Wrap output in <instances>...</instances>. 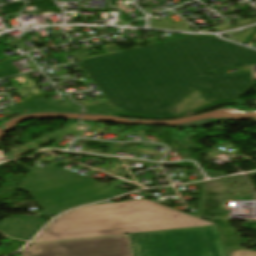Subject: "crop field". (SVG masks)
I'll return each mask as SVG.
<instances>
[{"mask_svg": "<svg viewBox=\"0 0 256 256\" xmlns=\"http://www.w3.org/2000/svg\"><path fill=\"white\" fill-rule=\"evenodd\" d=\"M119 116L174 119L219 103L236 104L254 86L256 51L194 36L80 60Z\"/></svg>", "mask_w": 256, "mask_h": 256, "instance_id": "obj_1", "label": "crop field"}, {"mask_svg": "<svg viewBox=\"0 0 256 256\" xmlns=\"http://www.w3.org/2000/svg\"><path fill=\"white\" fill-rule=\"evenodd\" d=\"M133 256H227L217 227L129 235Z\"/></svg>", "mask_w": 256, "mask_h": 256, "instance_id": "obj_4", "label": "crop field"}, {"mask_svg": "<svg viewBox=\"0 0 256 256\" xmlns=\"http://www.w3.org/2000/svg\"><path fill=\"white\" fill-rule=\"evenodd\" d=\"M46 222L28 216L11 215L0 222V231L5 235L28 241Z\"/></svg>", "mask_w": 256, "mask_h": 256, "instance_id": "obj_6", "label": "crop field"}, {"mask_svg": "<svg viewBox=\"0 0 256 256\" xmlns=\"http://www.w3.org/2000/svg\"><path fill=\"white\" fill-rule=\"evenodd\" d=\"M20 189L31 194L52 216L84 203L125 193L57 167L44 173L31 168Z\"/></svg>", "mask_w": 256, "mask_h": 256, "instance_id": "obj_3", "label": "crop field"}, {"mask_svg": "<svg viewBox=\"0 0 256 256\" xmlns=\"http://www.w3.org/2000/svg\"><path fill=\"white\" fill-rule=\"evenodd\" d=\"M23 244H25V242H22V241H18V240H15L13 239L9 245H10V248L8 250H2L0 249V256H3V255H8L16 250H18Z\"/></svg>", "mask_w": 256, "mask_h": 256, "instance_id": "obj_7", "label": "crop field"}, {"mask_svg": "<svg viewBox=\"0 0 256 256\" xmlns=\"http://www.w3.org/2000/svg\"><path fill=\"white\" fill-rule=\"evenodd\" d=\"M212 224L150 200L98 204L56 218L33 242Z\"/></svg>", "mask_w": 256, "mask_h": 256, "instance_id": "obj_2", "label": "crop field"}, {"mask_svg": "<svg viewBox=\"0 0 256 256\" xmlns=\"http://www.w3.org/2000/svg\"><path fill=\"white\" fill-rule=\"evenodd\" d=\"M22 256H130L125 236L29 245Z\"/></svg>", "mask_w": 256, "mask_h": 256, "instance_id": "obj_5", "label": "crop field"}, {"mask_svg": "<svg viewBox=\"0 0 256 256\" xmlns=\"http://www.w3.org/2000/svg\"><path fill=\"white\" fill-rule=\"evenodd\" d=\"M230 256H256V252L242 248L234 253H231Z\"/></svg>", "mask_w": 256, "mask_h": 256, "instance_id": "obj_8", "label": "crop field"}]
</instances>
